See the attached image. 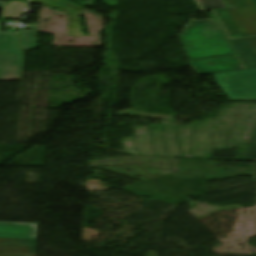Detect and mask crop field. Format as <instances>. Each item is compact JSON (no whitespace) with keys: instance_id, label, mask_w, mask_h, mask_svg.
Wrapping results in <instances>:
<instances>
[{"instance_id":"obj_1","label":"crop field","mask_w":256,"mask_h":256,"mask_svg":"<svg viewBox=\"0 0 256 256\" xmlns=\"http://www.w3.org/2000/svg\"><path fill=\"white\" fill-rule=\"evenodd\" d=\"M180 38L197 75L245 69L215 19L191 21Z\"/></svg>"},{"instance_id":"obj_2","label":"crop field","mask_w":256,"mask_h":256,"mask_svg":"<svg viewBox=\"0 0 256 256\" xmlns=\"http://www.w3.org/2000/svg\"><path fill=\"white\" fill-rule=\"evenodd\" d=\"M27 3L0 2L2 18L19 19ZM21 52L16 32L2 33L0 23V81L19 80Z\"/></svg>"},{"instance_id":"obj_3","label":"crop field","mask_w":256,"mask_h":256,"mask_svg":"<svg viewBox=\"0 0 256 256\" xmlns=\"http://www.w3.org/2000/svg\"><path fill=\"white\" fill-rule=\"evenodd\" d=\"M230 10L215 11L231 38L256 36V8L252 0H227Z\"/></svg>"},{"instance_id":"obj_4","label":"crop field","mask_w":256,"mask_h":256,"mask_svg":"<svg viewBox=\"0 0 256 256\" xmlns=\"http://www.w3.org/2000/svg\"><path fill=\"white\" fill-rule=\"evenodd\" d=\"M214 76L230 100L256 101V69Z\"/></svg>"},{"instance_id":"obj_5","label":"crop field","mask_w":256,"mask_h":256,"mask_svg":"<svg viewBox=\"0 0 256 256\" xmlns=\"http://www.w3.org/2000/svg\"><path fill=\"white\" fill-rule=\"evenodd\" d=\"M43 4L69 15L71 25L68 26L71 36H82L79 17L83 15L81 7L67 0H31Z\"/></svg>"},{"instance_id":"obj_6","label":"crop field","mask_w":256,"mask_h":256,"mask_svg":"<svg viewBox=\"0 0 256 256\" xmlns=\"http://www.w3.org/2000/svg\"><path fill=\"white\" fill-rule=\"evenodd\" d=\"M38 223L0 222V237L36 238Z\"/></svg>"},{"instance_id":"obj_7","label":"crop field","mask_w":256,"mask_h":256,"mask_svg":"<svg viewBox=\"0 0 256 256\" xmlns=\"http://www.w3.org/2000/svg\"><path fill=\"white\" fill-rule=\"evenodd\" d=\"M38 239L0 238V253L36 254Z\"/></svg>"},{"instance_id":"obj_8","label":"crop field","mask_w":256,"mask_h":256,"mask_svg":"<svg viewBox=\"0 0 256 256\" xmlns=\"http://www.w3.org/2000/svg\"><path fill=\"white\" fill-rule=\"evenodd\" d=\"M231 41L247 67L249 69L256 68V37Z\"/></svg>"},{"instance_id":"obj_9","label":"crop field","mask_w":256,"mask_h":256,"mask_svg":"<svg viewBox=\"0 0 256 256\" xmlns=\"http://www.w3.org/2000/svg\"><path fill=\"white\" fill-rule=\"evenodd\" d=\"M36 33V25H31V30H19L22 50L34 49Z\"/></svg>"},{"instance_id":"obj_10","label":"crop field","mask_w":256,"mask_h":256,"mask_svg":"<svg viewBox=\"0 0 256 256\" xmlns=\"http://www.w3.org/2000/svg\"><path fill=\"white\" fill-rule=\"evenodd\" d=\"M202 9L228 8L224 0H198Z\"/></svg>"},{"instance_id":"obj_11","label":"crop field","mask_w":256,"mask_h":256,"mask_svg":"<svg viewBox=\"0 0 256 256\" xmlns=\"http://www.w3.org/2000/svg\"><path fill=\"white\" fill-rule=\"evenodd\" d=\"M246 160L256 161V135H255V138L252 142V145L250 147V150H249V153H248V156H247Z\"/></svg>"},{"instance_id":"obj_12","label":"crop field","mask_w":256,"mask_h":256,"mask_svg":"<svg viewBox=\"0 0 256 256\" xmlns=\"http://www.w3.org/2000/svg\"><path fill=\"white\" fill-rule=\"evenodd\" d=\"M0 256H36V255H23V254H0Z\"/></svg>"},{"instance_id":"obj_13","label":"crop field","mask_w":256,"mask_h":256,"mask_svg":"<svg viewBox=\"0 0 256 256\" xmlns=\"http://www.w3.org/2000/svg\"><path fill=\"white\" fill-rule=\"evenodd\" d=\"M14 1H23V2H27L28 0H14Z\"/></svg>"},{"instance_id":"obj_14","label":"crop field","mask_w":256,"mask_h":256,"mask_svg":"<svg viewBox=\"0 0 256 256\" xmlns=\"http://www.w3.org/2000/svg\"><path fill=\"white\" fill-rule=\"evenodd\" d=\"M253 2H254V4H255V6H256V0H253Z\"/></svg>"}]
</instances>
